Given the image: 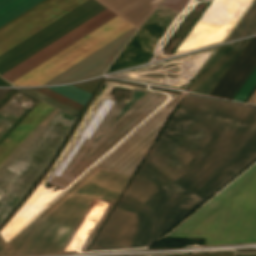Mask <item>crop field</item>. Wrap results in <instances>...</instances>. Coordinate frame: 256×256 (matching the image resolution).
Wrapping results in <instances>:
<instances>
[{
  "label": "crop field",
  "instance_id": "obj_1",
  "mask_svg": "<svg viewBox=\"0 0 256 256\" xmlns=\"http://www.w3.org/2000/svg\"><path fill=\"white\" fill-rule=\"evenodd\" d=\"M256 158V107L186 94L88 251L147 247Z\"/></svg>",
  "mask_w": 256,
  "mask_h": 256
},
{
  "label": "crop field",
  "instance_id": "obj_2",
  "mask_svg": "<svg viewBox=\"0 0 256 256\" xmlns=\"http://www.w3.org/2000/svg\"><path fill=\"white\" fill-rule=\"evenodd\" d=\"M116 16L118 15L110 9H105L1 76L10 82L15 80ZM132 27L134 26L118 16L11 83L43 85ZM135 30L134 27L127 31L46 84L72 82L101 75Z\"/></svg>",
  "mask_w": 256,
  "mask_h": 256
},
{
  "label": "crop field",
  "instance_id": "obj_3",
  "mask_svg": "<svg viewBox=\"0 0 256 256\" xmlns=\"http://www.w3.org/2000/svg\"><path fill=\"white\" fill-rule=\"evenodd\" d=\"M129 179V175L95 169L11 241L5 243L0 236V256L60 253L93 198L112 203L86 250Z\"/></svg>",
  "mask_w": 256,
  "mask_h": 256
},
{
  "label": "crop field",
  "instance_id": "obj_4",
  "mask_svg": "<svg viewBox=\"0 0 256 256\" xmlns=\"http://www.w3.org/2000/svg\"><path fill=\"white\" fill-rule=\"evenodd\" d=\"M85 0H44L0 28V54ZM105 7L87 0L0 55V75L60 38Z\"/></svg>",
  "mask_w": 256,
  "mask_h": 256
},
{
  "label": "crop field",
  "instance_id": "obj_5",
  "mask_svg": "<svg viewBox=\"0 0 256 256\" xmlns=\"http://www.w3.org/2000/svg\"><path fill=\"white\" fill-rule=\"evenodd\" d=\"M167 236L205 237V244L256 241V164Z\"/></svg>",
  "mask_w": 256,
  "mask_h": 256
},
{
  "label": "crop field",
  "instance_id": "obj_6",
  "mask_svg": "<svg viewBox=\"0 0 256 256\" xmlns=\"http://www.w3.org/2000/svg\"><path fill=\"white\" fill-rule=\"evenodd\" d=\"M165 99L166 95L134 89L130 103L104 100L57 173L68 180L80 175Z\"/></svg>",
  "mask_w": 256,
  "mask_h": 256
},
{
  "label": "crop field",
  "instance_id": "obj_7",
  "mask_svg": "<svg viewBox=\"0 0 256 256\" xmlns=\"http://www.w3.org/2000/svg\"><path fill=\"white\" fill-rule=\"evenodd\" d=\"M179 11L159 6L132 37L107 72L146 63L153 48L173 22ZM125 62L123 66H115ZM106 72V73H107Z\"/></svg>",
  "mask_w": 256,
  "mask_h": 256
},
{
  "label": "crop field",
  "instance_id": "obj_8",
  "mask_svg": "<svg viewBox=\"0 0 256 256\" xmlns=\"http://www.w3.org/2000/svg\"><path fill=\"white\" fill-rule=\"evenodd\" d=\"M249 39L221 45L188 91L209 95Z\"/></svg>",
  "mask_w": 256,
  "mask_h": 256
},
{
  "label": "crop field",
  "instance_id": "obj_9",
  "mask_svg": "<svg viewBox=\"0 0 256 256\" xmlns=\"http://www.w3.org/2000/svg\"><path fill=\"white\" fill-rule=\"evenodd\" d=\"M255 66L256 36L251 37L210 95L231 99Z\"/></svg>",
  "mask_w": 256,
  "mask_h": 256
},
{
  "label": "crop field",
  "instance_id": "obj_10",
  "mask_svg": "<svg viewBox=\"0 0 256 256\" xmlns=\"http://www.w3.org/2000/svg\"><path fill=\"white\" fill-rule=\"evenodd\" d=\"M169 113H167L105 169L133 174Z\"/></svg>",
  "mask_w": 256,
  "mask_h": 256
},
{
  "label": "crop field",
  "instance_id": "obj_11",
  "mask_svg": "<svg viewBox=\"0 0 256 256\" xmlns=\"http://www.w3.org/2000/svg\"><path fill=\"white\" fill-rule=\"evenodd\" d=\"M54 107L40 102L32 112L0 144V164L29 135Z\"/></svg>",
  "mask_w": 256,
  "mask_h": 256
},
{
  "label": "crop field",
  "instance_id": "obj_12",
  "mask_svg": "<svg viewBox=\"0 0 256 256\" xmlns=\"http://www.w3.org/2000/svg\"><path fill=\"white\" fill-rule=\"evenodd\" d=\"M107 3L110 0H99ZM161 0H111L107 5L131 24L139 28Z\"/></svg>",
  "mask_w": 256,
  "mask_h": 256
},
{
  "label": "crop field",
  "instance_id": "obj_13",
  "mask_svg": "<svg viewBox=\"0 0 256 256\" xmlns=\"http://www.w3.org/2000/svg\"><path fill=\"white\" fill-rule=\"evenodd\" d=\"M180 93L175 99H173L166 107L153 116L146 124H144L134 135H132L122 146H120L112 155H110L102 164L97 168L104 169L115 158H117L124 150H126L133 142H135L141 135H143L150 127H152L159 119H161L167 112L175 107L182 97Z\"/></svg>",
  "mask_w": 256,
  "mask_h": 256
},
{
  "label": "crop field",
  "instance_id": "obj_14",
  "mask_svg": "<svg viewBox=\"0 0 256 256\" xmlns=\"http://www.w3.org/2000/svg\"><path fill=\"white\" fill-rule=\"evenodd\" d=\"M42 0H0V27Z\"/></svg>",
  "mask_w": 256,
  "mask_h": 256
},
{
  "label": "crop field",
  "instance_id": "obj_15",
  "mask_svg": "<svg viewBox=\"0 0 256 256\" xmlns=\"http://www.w3.org/2000/svg\"><path fill=\"white\" fill-rule=\"evenodd\" d=\"M256 31V0L251 4L224 41L254 34Z\"/></svg>",
  "mask_w": 256,
  "mask_h": 256
},
{
  "label": "crop field",
  "instance_id": "obj_16",
  "mask_svg": "<svg viewBox=\"0 0 256 256\" xmlns=\"http://www.w3.org/2000/svg\"><path fill=\"white\" fill-rule=\"evenodd\" d=\"M83 105H85L86 101L90 97L91 93L84 91L80 88H77L73 85L68 86H57V87H49Z\"/></svg>",
  "mask_w": 256,
  "mask_h": 256
},
{
  "label": "crop field",
  "instance_id": "obj_17",
  "mask_svg": "<svg viewBox=\"0 0 256 256\" xmlns=\"http://www.w3.org/2000/svg\"><path fill=\"white\" fill-rule=\"evenodd\" d=\"M256 86V67L252 73L248 76L236 94L233 96V100L244 102L253 88Z\"/></svg>",
  "mask_w": 256,
  "mask_h": 256
},
{
  "label": "crop field",
  "instance_id": "obj_18",
  "mask_svg": "<svg viewBox=\"0 0 256 256\" xmlns=\"http://www.w3.org/2000/svg\"><path fill=\"white\" fill-rule=\"evenodd\" d=\"M21 90H23V91H25V92H27V93H29V94H31V95L41 99V100H43V101H45V102H47V103H49V104H51L53 106H55V107L65 111V112H68V113H70V114H72V115H74L76 117L79 114L78 111H76V110H74V109H72V108H70V107H68V106H66V105L56 101V100H53V99H51V98H49V97H47V96H45V95L35 91V90H32L30 88H23Z\"/></svg>",
  "mask_w": 256,
  "mask_h": 256
},
{
  "label": "crop field",
  "instance_id": "obj_19",
  "mask_svg": "<svg viewBox=\"0 0 256 256\" xmlns=\"http://www.w3.org/2000/svg\"><path fill=\"white\" fill-rule=\"evenodd\" d=\"M247 102L256 104V90L254 91V93L251 95Z\"/></svg>",
  "mask_w": 256,
  "mask_h": 256
},
{
  "label": "crop field",
  "instance_id": "obj_20",
  "mask_svg": "<svg viewBox=\"0 0 256 256\" xmlns=\"http://www.w3.org/2000/svg\"><path fill=\"white\" fill-rule=\"evenodd\" d=\"M9 89H0V99Z\"/></svg>",
  "mask_w": 256,
  "mask_h": 256
}]
</instances>
